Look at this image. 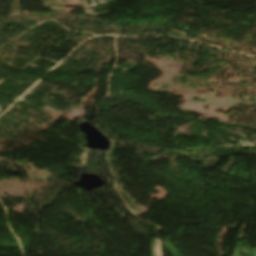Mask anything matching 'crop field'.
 <instances>
[{
	"label": "crop field",
	"instance_id": "1",
	"mask_svg": "<svg viewBox=\"0 0 256 256\" xmlns=\"http://www.w3.org/2000/svg\"><path fill=\"white\" fill-rule=\"evenodd\" d=\"M161 242H160V240L156 239V247H155L156 256H162V244H161Z\"/></svg>",
	"mask_w": 256,
	"mask_h": 256
}]
</instances>
